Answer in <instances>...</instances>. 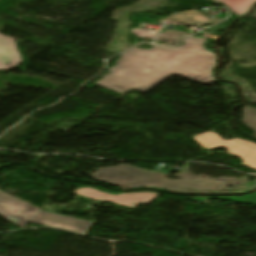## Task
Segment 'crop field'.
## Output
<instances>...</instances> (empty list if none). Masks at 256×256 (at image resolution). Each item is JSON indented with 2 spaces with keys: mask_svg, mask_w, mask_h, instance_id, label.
I'll return each mask as SVG.
<instances>
[{
  "mask_svg": "<svg viewBox=\"0 0 256 256\" xmlns=\"http://www.w3.org/2000/svg\"><path fill=\"white\" fill-rule=\"evenodd\" d=\"M139 15H149L147 13H142V14H136V15H133V16H139Z\"/></svg>",
  "mask_w": 256,
  "mask_h": 256,
  "instance_id": "14",
  "label": "crop field"
},
{
  "mask_svg": "<svg viewBox=\"0 0 256 256\" xmlns=\"http://www.w3.org/2000/svg\"><path fill=\"white\" fill-rule=\"evenodd\" d=\"M206 40L191 36L182 47H134L109 69L111 74L95 84L119 93L130 89L146 93L173 74L202 83L217 82L212 78L215 63L209 62L217 57L204 48Z\"/></svg>",
  "mask_w": 256,
  "mask_h": 256,
  "instance_id": "1",
  "label": "crop field"
},
{
  "mask_svg": "<svg viewBox=\"0 0 256 256\" xmlns=\"http://www.w3.org/2000/svg\"><path fill=\"white\" fill-rule=\"evenodd\" d=\"M251 18L256 19V8H255V10L252 12V14H251Z\"/></svg>",
  "mask_w": 256,
  "mask_h": 256,
  "instance_id": "13",
  "label": "crop field"
},
{
  "mask_svg": "<svg viewBox=\"0 0 256 256\" xmlns=\"http://www.w3.org/2000/svg\"><path fill=\"white\" fill-rule=\"evenodd\" d=\"M0 34V70H12L22 60L13 39Z\"/></svg>",
  "mask_w": 256,
  "mask_h": 256,
  "instance_id": "7",
  "label": "crop field"
},
{
  "mask_svg": "<svg viewBox=\"0 0 256 256\" xmlns=\"http://www.w3.org/2000/svg\"><path fill=\"white\" fill-rule=\"evenodd\" d=\"M35 223L83 234H86L92 225L91 222L59 216L42 210H40Z\"/></svg>",
  "mask_w": 256,
  "mask_h": 256,
  "instance_id": "6",
  "label": "crop field"
},
{
  "mask_svg": "<svg viewBox=\"0 0 256 256\" xmlns=\"http://www.w3.org/2000/svg\"><path fill=\"white\" fill-rule=\"evenodd\" d=\"M251 97L253 99L252 102H256V95H252ZM243 110L244 119L242 121L249 129L255 131L254 136H256V109L245 107Z\"/></svg>",
  "mask_w": 256,
  "mask_h": 256,
  "instance_id": "10",
  "label": "crop field"
},
{
  "mask_svg": "<svg viewBox=\"0 0 256 256\" xmlns=\"http://www.w3.org/2000/svg\"><path fill=\"white\" fill-rule=\"evenodd\" d=\"M222 4L228 6L234 13L241 16L249 10L256 0H219Z\"/></svg>",
  "mask_w": 256,
  "mask_h": 256,
  "instance_id": "9",
  "label": "crop field"
},
{
  "mask_svg": "<svg viewBox=\"0 0 256 256\" xmlns=\"http://www.w3.org/2000/svg\"><path fill=\"white\" fill-rule=\"evenodd\" d=\"M195 139L205 150L227 148V153L243 159V166L256 170V144L237 138H233L230 141H225L213 132L202 133L195 136Z\"/></svg>",
  "mask_w": 256,
  "mask_h": 256,
  "instance_id": "3",
  "label": "crop field"
},
{
  "mask_svg": "<svg viewBox=\"0 0 256 256\" xmlns=\"http://www.w3.org/2000/svg\"><path fill=\"white\" fill-rule=\"evenodd\" d=\"M74 194L87 197L96 201H109L118 205L133 208L138 204H147L160 196L158 193L142 192V193H130L121 195H110L104 192H100L93 188H78ZM129 197L131 199H129ZM140 201L141 203H138ZM136 203V205H134Z\"/></svg>",
  "mask_w": 256,
  "mask_h": 256,
  "instance_id": "4",
  "label": "crop field"
},
{
  "mask_svg": "<svg viewBox=\"0 0 256 256\" xmlns=\"http://www.w3.org/2000/svg\"><path fill=\"white\" fill-rule=\"evenodd\" d=\"M140 24H141V27H142V25L144 23H140ZM151 25H154V24H151ZM141 27L139 29L133 28L130 32L135 34L139 38H148V39L154 40V38L157 35V32L153 31V30H140Z\"/></svg>",
  "mask_w": 256,
  "mask_h": 256,
  "instance_id": "12",
  "label": "crop field"
},
{
  "mask_svg": "<svg viewBox=\"0 0 256 256\" xmlns=\"http://www.w3.org/2000/svg\"><path fill=\"white\" fill-rule=\"evenodd\" d=\"M207 20L206 22H203L202 20ZM163 21L172 22V23H185V24H198L201 25L203 23H209L214 24L216 22L221 21L218 18H208L204 14H202L199 11H187V12H179V13H173Z\"/></svg>",
  "mask_w": 256,
  "mask_h": 256,
  "instance_id": "8",
  "label": "crop field"
},
{
  "mask_svg": "<svg viewBox=\"0 0 256 256\" xmlns=\"http://www.w3.org/2000/svg\"><path fill=\"white\" fill-rule=\"evenodd\" d=\"M97 180L118 186L120 189L136 187H157L185 193L186 189L219 190L224 183L208 180L182 181L167 180L166 174L146 171L131 165L123 164L99 169L94 175Z\"/></svg>",
  "mask_w": 256,
  "mask_h": 256,
  "instance_id": "2",
  "label": "crop field"
},
{
  "mask_svg": "<svg viewBox=\"0 0 256 256\" xmlns=\"http://www.w3.org/2000/svg\"><path fill=\"white\" fill-rule=\"evenodd\" d=\"M187 35L188 34L181 31L166 30L164 34L160 33L159 37L157 38V41L168 40L176 44Z\"/></svg>",
  "mask_w": 256,
  "mask_h": 256,
  "instance_id": "11",
  "label": "crop field"
},
{
  "mask_svg": "<svg viewBox=\"0 0 256 256\" xmlns=\"http://www.w3.org/2000/svg\"><path fill=\"white\" fill-rule=\"evenodd\" d=\"M39 210L29 204L15 200L0 191V216L25 229L34 221Z\"/></svg>",
  "mask_w": 256,
  "mask_h": 256,
  "instance_id": "5",
  "label": "crop field"
}]
</instances>
